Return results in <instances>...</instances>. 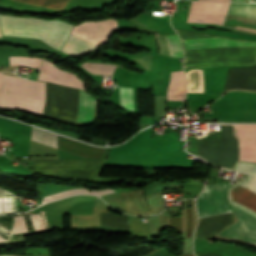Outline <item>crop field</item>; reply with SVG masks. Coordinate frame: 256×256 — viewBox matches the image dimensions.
Segmentation results:
<instances>
[{
    "label": "crop field",
    "instance_id": "4a817a6b",
    "mask_svg": "<svg viewBox=\"0 0 256 256\" xmlns=\"http://www.w3.org/2000/svg\"><path fill=\"white\" fill-rule=\"evenodd\" d=\"M121 106L134 110L132 88L120 87Z\"/></svg>",
    "mask_w": 256,
    "mask_h": 256
},
{
    "label": "crop field",
    "instance_id": "8a807250",
    "mask_svg": "<svg viewBox=\"0 0 256 256\" xmlns=\"http://www.w3.org/2000/svg\"><path fill=\"white\" fill-rule=\"evenodd\" d=\"M234 186H237L256 196V175H248L246 181L237 182ZM234 186H231V187H234ZM231 187H228V190H227L229 203L234 204L256 216V212H254L256 211V197L237 187L231 189L232 199L254 210L252 211L234 202L231 199V195H230ZM231 206L239 221L219 235L223 237H229V238H240L256 244V217L233 205Z\"/></svg>",
    "mask_w": 256,
    "mask_h": 256
},
{
    "label": "crop field",
    "instance_id": "92a150f3",
    "mask_svg": "<svg viewBox=\"0 0 256 256\" xmlns=\"http://www.w3.org/2000/svg\"><path fill=\"white\" fill-rule=\"evenodd\" d=\"M187 211V236L186 238L190 237L191 230H192V212L191 209H186Z\"/></svg>",
    "mask_w": 256,
    "mask_h": 256
},
{
    "label": "crop field",
    "instance_id": "f4fd0767",
    "mask_svg": "<svg viewBox=\"0 0 256 256\" xmlns=\"http://www.w3.org/2000/svg\"><path fill=\"white\" fill-rule=\"evenodd\" d=\"M230 3L192 1L187 22L223 24Z\"/></svg>",
    "mask_w": 256,
    "mask_h": 256
},
{
    "label": "crop field",
    "instance_id": "3316defc",
    "mask_svg": "<svg viewBox=\"0 0 256 256\" xmlns=\"http://www.w3.org/2000/svg\"><path fill=\"white\" fill-rule=\"evenodd\" d=\"M94 110H95L94 96L80 90L79 116L77 121L91 123L94 115Z\"/></svg>",
    "mask_w": 256,
    "mask_h": 256
},
{
    "label": "crop field",
    "instance_id": "d3111659",
    "mask_svg": "<svg viewBox=\"0 0 256 256\" xmlns=\"http://www.w3.org/2000/svg\"><path fill=\"white\" fill-rule=\"evenodd\" d=\"M0 256H6V255H0Z\"/></svg>",
    "mask_w": 256,
    "mask_h": 256
},
{
    "label": "crop field",
    "instance_id": "dafd665d",
    "mask_svg": "<svg viewBox=\"0 0 256 256\" xmlns=\"http://www.w3.org/2000/svg\"><path fill=\"white\" fill-rule=\"evenodd\" d=\"M113 190L110 189H105V190H95L91 191V194H96V195H103V194H108V193H113Z\"/></svg>",
    "mask_w": 256,
    "mask_h": 256
},
{
    "label": "crop field",
    "instance_id": "e52e79f7",
    "mask_svg": "<svg viewBox=\"0 0 256 256\" xmlns=\"http://www.w3.org/2000/svg\"><path fill=\"white\" fill-rule=\"evenodd\" d=\"M242 147L241 160L256 162V125H236Z\"/></svg>",
    "mask_w": 256,
    "mask_h": 256
},
{
    "label": "crop field",
    "instance_id": "d9b57169",
    "mask_svg": "<svg viewBox=\"0 0 256 256\" xmlns=\"http://www.w3.org/2000/svg\"><path fill=\"white\" fill-rule=\"evenodd\" d=\"M168 43L170 56L183 58L180 40L177 35L165 36Z\"/></svg>",
    "mask_w": 256,
    "mask_h": 256
},
{
    "label": "crop field",
    "instance_id": "00972430",
    "mask_svg": "<svg viewBox=\"0 0 256 256\" xmlns=\"http://www.w3.org/2000/svg\"><path fill=\"white\" fill-rule=\"evenodd\" d=\"M236 29L243 30V31H247V32H251V33H256V30L245 29V28H239V27H236Z\"/></svg>",
    "mask_w": 256,
    "mask_h": 256
},
{
    "label": "crop field",
    "instance_id": "cbeb9de0",
    "mask_svg": "<svg viewBox=\"0 0 256 256\" xmlns=\"http://www.w3.org/2000/svg\"><path fill=\"white\" fill-rule=\"evenodd\" d=\"M21 3L63 10L69 0H16Z\"/></svg>",
    "mask_w": 256,
    "mask_h": 256
},
{
    "label": "crop field",
    "instance_id": "412701ff",
    "mask_svg": "<svg viewBox=\"0 0 256 256\" xmlns=\"http://www.w3.org/2000/svg\"><path fill=\"white\" fill-rule=\"evenodd\" d=\"M227 184L207 185L197 200L199 218L231 212L226 201Z\"/></svg>",
    "mask_w": 256,
    "mask_h": 256
},
{
    "label": "crop field",
    "instance_id": "4177f3b9",
    "mask_svg": "<svg viewBox=\"0 0 256 256\" xmlns=\"http://www.w3.org/2000/svg\"><path fill=\"white\" fill-rule=\"evenodd\" d=\"M183 256H193V254H187V255H183Z\"/></svg>",
    "mask_w": 256,
    "mask_h": 256
},
{
    "label": "crop field",
    "instance_id": "ac0d7876",
    "mask_svg": "<svg viewBox=\"0 0 256 256\" xmlns=\"http://www.w3.org/2000/svg\"><path fill=\"white\" fill-rule=\"evenodd\" d=\"M0 25L3 35L39 38L58 49H61L72 28V25L59 21H43L7 16H0Z\"/></svg>",
    "mask_w": 256,
    "mask_h": 256
},
{
    "label": "crop field",
    "instance_id": "22f410ed",
    "mask_svg": "<svg viewBox=\"0 0 256 256\" xmlns=\"http://www.w3.org/2000/svg\"><path fill=\"white\" fill-rule=\"evenodd\" d=\"M227 14L256 18V4L231 3Z\"/></svg>",
    "mask_w": 256,
    "mask_h": 256
},
{
    "label": "crop field",
    "instance_id": "ae1a2a85",
    "mask_svg": "<svg viewBox=\"0 0 256 256\" xmlns=\"http://www.w3.org/2000/svg\"><path fill=\"white\" fill-rule=\"evenodd\" d=\"M163 197H165V196H162V197H158V198H156V199H159V198H163Z\"/></svg>",
    "mask_w": 256,
    "mask_h": 256
},
{
    "label": "crop field",
    "instance_id": "214f88e0",
    "mask_svg": "<svg viewBox=\"0 0 256 256\" xmlns=\"http://www.w3.org/2000/svg\"><path fill=\"white\" fill-rule=\"evenodd\" d=\"M235 171L245 172V173H256V165L239 163Z\"/></svg>",
    "mask_w": 256,
    "mask_h": 256
},
{
    "label": "crop field",
    "instance_id": "a9b5d70f",
    "mask_svg": "<svg viewBox=\"0 0 256 256\" xmlns=\"http://www.w3.org/2000/svg\"><path fill=\"white\" fill-rule=\"evenodd\" d=\"M1 83H2V73H0V92H1Z\"/></svg>",
    "mask_w": 256,
    "mask_h": 256
},
{
    "label": "crop field",
    "instance_id": "28ad6ade",
    "mask_svg": "<svg viewBox=\"0 0 256 256\" xmlns=\"http://www.w3.org/2000/svg\"><path fill=\"white\" fill-rule=\"evenodd\" d=\"M183 40L185 42L186 49L216 46V45H256V44H248V43L218 39L213 37L192 38V39H183Z\"/></svg>",
    "mask_w": 256,
    "mask_h": 256
},
{
    "label": "crop field",
    "instance_id": "730fd06b",
    "mask_svg": "<svg viewBox=\"0 0 256 256\" xmlns=\"http://www.w3.org/2000/svg\"><path fill=\"white\" fill-rule=\"evenodd\" d=\"M215 1H230V0H215Z\"/></svg>",
    "mask_w": 256,
    "mask_h": 256
},
{
    "label": "crop field",
    "instance_id": "bc2a9ffb",
    "mask_svg": "<svg viewBox=\"0 0 256 256\" xmlns=\"http://www.w3.org/2000/svg\"><path fill=\"white\" fill-rule=\"evenodd\" d=\"M77 193L89 194V191H87L86 189H74V190H68V191L55 193V194H52L50 196L44 197L43 201H42V204H44L46 202H49V201H52V200L57 199V198H61V197H64V196L73 195V194H77Z\"/></svg>",
    "mask_w": 256,
    "mask_h": 256
},
{
    "label": "crop field",
    "instance_id": "733c2abd",
    "mask_svg": "<svg viewBox=\"0 0 256 256\" xmlns=\"http://www.w3.org/2000/svg\"><path fill=\"white\" fill-rule=\"evenodd\" d=\"M10 65H24L34 68H39L40 60L39 58H28V57H9Z\"/></svg>",
    "mask_w": 256,
    "mask_h": 256
},
{
    "label": "crop field",
    "instance_id": "eef30255",
    "mask_svg": "<svg viewBox=\"0 0 256 256\" xmlns=\"http://www.w3.org/2000/svg\"><path fill=\"white\" fill-rule=\"evenodd\" d=\"M231 1H245V0H231Z\"/></svg>",
    "mask_w": 256,
    "mask_h": 256
},
{
    "label": "crop field",
    "instance_id": "d8731c3e",
    "mask_svg": "<svg viewBox=\"0 0 256 256\" xmlns=\"http://www.w3.org/2000/svg\"><path fill=\"white\" fill-rule=\"evenodd\" d=\"M185 76L182 71L171 72L167 100H184Z\"/></svg>",
    "mask_w": 256,
    "mask_h": 256
},
{
    "label": "crop field",
    "instance_id": "dd49c442",
    "mask_svg": "<svg viewBox=\"0 0 256 256\" xmlns=\"http://www.w3.org/2000/svg\"><path fill=\"white\" fill-rule=\"evenodd\" d=\"M38 80L84 89L82 82L75 74L62 71L44 60L42 62Z\"/></svg>",
    "mask_w": 256,
    "mask_h": 256
},
{
    "label": "crop field",
    "instance_id": "d1516ede",
    "mask_svg": "<svg viewBox=\"0 0 256 256\" xmlns=\"http://www.w3.org/2000/svg\"><path fill=\"white\" fill-rule=\"evenodd\" d=\"M32 140L58 149L60 136L33 127Z\"/></svg>",
    "mask_w": 256,
    "mask_h": 256
},
{
    "label": "crop field",
    "instance_id": "5142ce71",
    "mask_svg": "<svg viewBox=\"0 0 256 256\" xmlns=\"http://www.w3.org/2000/svg\"><path fill=\"white\" fill-rule=\"evenodd\" d=\"M116 65L84 62L81 67L93 74L111 75ZM117 67V66H116Z\"/></svg>",
    "mask_w": 256,
    "mask_h": 256
},
{
    "label": "crop field",
    "instance_id": "5a996713",
    "mask_svg": "<svg viewBox=\"0 0 256 256\" xmlns=\"http://www.w3.org/2000/svg\"><path fill=\"white\" fill-rule=\"evenodd\" d=\"M98 46L70 33L62 49V52L67 53L69 55H78V54L87 53L97 48Z\"/></svg>",
    "mask_w": 256,
    "mask_h": 256
},
{
    "label": "crop field",
    "instance_id": "34b2d1b8",
    "mask_svg": "<svg viewBox=\"0 0 256 256\" xmlns=\"http://www.w3.org/2000/svg\"><path fill=\"white\" fill-rule=\"evenodd\" d=\"M44 83L3 75L0 106L27 109L42 114Z\"/></svg>",
    "mask_w": 256,
    "mask_h": 256
}]
</instances>
